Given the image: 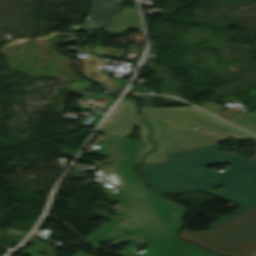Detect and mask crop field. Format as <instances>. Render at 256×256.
<instances>
[{"mask_svg":"<svg viewBox=\"0 0 256 256\" xmlns=\"http://www.w3.org/2000/svg\"><path fill=\"white\" fill-rule=\"evenodd\" d=\"M25 253L28 254V255H30V256H41V255L34 254V253H32V252H29V251H27V250H25Z\"/></svg>","mask_w":256,"mask_h":256,"instance_id":"15","label":"crop field"},{"mask_svg":"<svg viewBox=\"0 0 256 256\" xmlns=\"http://www.w3.org/2000/svg\"><path fill=\"white\" fill-rule=\"evenodd\" d=\"M141 114L156 115L161 117H171L178 122L213 130L216 132L228 134L236 141H247L256 137L237 129L215 117L203 113L192 106H178V107H159L151 108L149 106H141Z\"/></svg>","mask_w":256,"mask_h":256,"instance_id":"5","label":"crop field"},{"mask_svg":"<svg viewBox=\"0 0 256 256\" xmlns=\"http://www.w3.org/2000/svg\"><path fill=\"white\" fill-rule=\"evenodd\" d=\"M166 256H214V255L187 244Z\"/></svg>","mask_w":256,"mask_h":256,"instance_id":"11","label":"crop field"},{"mask_svg":"<svg viewBox=\"0 0 256 256\" xmlns=\"http://www.w3.org/2000/svg\"><path fill=\"white\" fill-rule=\"evenodd\" d=\"M75 256H85V255H83V254L79 253V254H76Z\"/></svg>","mask_w":256,"mask_h":256,"instance_id":"16","label":"crop field"},{"mask_svg":"<svg viewBox=\"0 0 256 256\" xmlns=\"http://www.w3.org/2000/svg\"><path fill=\"white\" fill-rule=\"evenodd\" d=\"M123 0H95L92 1L93 8L84 25L78 26L76 30L92 32L106 23V20L121 4Z\"/></svg>","mask_w":256,"mask_h":256,"instance_id":"7","label":"crop field"},{"mask_svg":"<svg viewBox=\"0 0 256 256\" xmlns=\"http://www.w3.org/2000/svg\"><path fill=\"white\" fill-rule=\"evenodd\" d=\"M248 97H256V88H253Z\"/></svg>","mask_w":256,"mask_h":256,"instance_id":"14","label":"crop field"},{"mask_svg":"<svg viewBox=\"0 0 256 256\" xmlns=\"http://www.w3.org/2000/svg\"><path fill=\"white\" fill-rule=\"evenodd\" d=\"M213 163L232 166L221 172L206 168ZM137 169L148 186L162 195L200 190L242 206L210 224L212 228L256 205V158L225 153L217 144L170 154L167 162L139 165ZM219 184L224 187L211 190Z\"/></svg>","mask_w":256,"mask_h":256,"instance_id":"2","label":"crop field"},{"mask_svg":"<svg viewBox=\"0 0 256 256\" xmlns=\"http://www.w3.org/2000/svg\"><path fill=\"white\" fill-rule=\"evenodd\" d=\"M84 92V96L83 98H86V99H92L94 96L96 95H101L102 97H106L108 99H110V101L108 102V104L106 105V107H109L110 104L115 100L116 97H110V96H107L103 93H92V92H85V91H82Z\"/></svg>","mask_w":256,"mask_h":256,"instance_id":"13","label":"crop field"},{"mask_svg":"<svg viewBox=\"0 0 256 256\" xmlns=\"http://www.w3.org/2000/svg\"><path fill=\"white\" fill-rule=\"evenodd\" d=\"M228 120L256 134V111L248 114H243Z\"/></svg>","mask_w":256,"mask_h":256,"instance_id":"10","label":"crop field"},{"mask_svg":"<svg viewBox=\"0 0 256 256\" xmlns=\"http://www.w3.org/2000/svg\"><path fill=\"white\" fill-rule=\"evenodd\" d=\"M179 237L219 254L247 256L256 251V206L207 233L181 231Z\"/></svg>","mask_w":256,"mask_h":256,"instance_id":"3","label":"crop field"},{"mask_svg":"<svg viewBox=\"0 0 256 256\" xmlns=\"http://www.w3.org/2000/svg\"><path fill=\"white\" fill-rule=\"evenodd\" d=\"M142 145L127 140L125 145L109 158L113 164L95 171L107 195L112 201H119L116 217L88 236L86 241L96 245L108 238L116 246L119 242L132 240L130 247L121 254L129 256H161L184 242L174 235L181 227L185 209L146 189L132 169ZM175 219H172V218ZM123 218L121 222L118 219ZM119 222V224H117ZM135 223V225H133ZM142 233V234H140ZM121 236V238H119ZM149 247L136 253L133 248L141 243Z\"/></svg>","mask_w":256,"mask_h":256,"instance_id":"1","label":"crop field"},{"mask_svg":"<svg viewBox=\"0 0 256 256\" xmlns=\"http://www.w3.org/2000/svg\"><path fill=\"white\" fill-rule=\"evenodd\" d=\"M135 115L136 108L128 99H124L100 128L130 134L134 127L140 126L143 147L135 161L137 164L142 154L152 149L153 143L146 139L148 126L138 117H134Z\"/></svg>","mask_w":256,"mask_h":256,"instance_id":"6","label":"crop field"},{"mask_svg":"<svg viewBox=\"0 0 256 256\" xmlns=\"http://www.w3.org/2000/svg\"><path fill=\"white\" fill-rule=\"evenodd\" d=\"M152 127L150 139L157 142L156 150L146 154L140 164L166 161L167 154L225 142L229 136L174 121L171 118L143 117Z\"/></svg>","mask_w":256,"mask_h":256,"instance_id":"4","label":"crop field"},{"mask_svg":"<svg viewBox=\"0 0 256 256\" xmlns=\"http://www.w3.org/2000/svg\"><path fill=\"white\" fill-rule=\"evenodd\" d=\"M101 114H98L97 116L94 115H86L81 122L79 123L80 126H88V127H95L98 121L101 118Z\"/></svg>","mask_w":256,"mask_h":256,"instance_id":"12","label":"crop field"},{"mask_svg":"<svg viewBox=\"0 0 256 256\" xmlns=\"http://www.w3.org/2000/svg\"><path fill=\"white\" fill-rule=\"evenodd\" d=\"M112 33L131 29L142 32V24L137 10L122 7L108 22L107 26L103 28Z\"/></svg>","mask_w":256,"mask_h":256,"instance_id":"8","label":"crop field"},{"mask_svg":"<svg viewBox=\"0 0 256 256\" xmlns=\"http://www.w3.org/2000/svg\"><path fill=\"white\" fill-rule=\"evenodd\" d=\"M98 131L107 133V140L104 142H100L101 147L97 151L92 152L94 154L111 156L121 148L126 138L128 137L127 134L111 132L101 129H98Z\"/></svg>","mask_w":256,"mask_h":256,"instance_id":"9","label":"crop field"},{"mask_svg":"<svg viewBox=\"0 0 256 256\" xmlns=\"http://www.w3.org/2000/svg\"><path fill=\"white\" fill-rule=\"evenodd\" d=\"M249 256H256V252H255V253H253V254H251V255H249Z\"/></svg>","mask_w":256,"mask_h":256,"instance_id":"17","label":"crop field"}]
</instances>
